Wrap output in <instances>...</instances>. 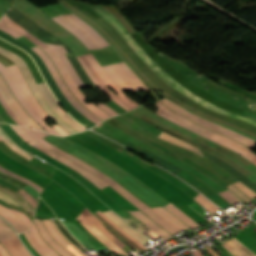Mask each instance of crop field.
Listing matches in <instances>:
<instances>
[{
    "label": "crop field",
    "instance_id": "1",
    "mask_svg": "<svg viewBox=\"0 0 256 256\" xmlns=\"http://www.w3.org/2000/svg\"><path fill=\"white\" fill-rule=\"evenodd\" d=\"M22 128V127H20ZM27 134H29L32 138H34L36 141L40 142L41 144L45 145L46 147L54 150L55 152L63 155L64 157L68 158L69 160L77 163L78 165L84 167L85 169L89 170L96 176H98L100 179H102L104 182H106L108 185H110L113 189H115L119 194H121L125 199H127L130 203H132L134 206L141 209L144 213H146L153 221H155L158 225H160L162 228H164L166 231L171 233L172 235L180 232L177 229H175L172 225H170L166 220H164L162 217H160L158 214H156L154 211H152L150 208H148L145 204H143L140 200L136 199L132 194H130L126 189H124L122 186H120L118 183L110 179L108 176L104 175L100 171L96 170L95 168L91 167L87 163L83 162L82 160L58 149L57 147L51 145L50 143L42 140L34 131L22 128Z\"/></svg>",
    "mask_w": 256,
    "mask_h": 256
},
{
    "label": "crop field",
    "instance_id": "2",
    "mask_svg": "<svg viewBox=\"0 0 256 256\" xmlns=\"http://www.w3.org/2000/svg\"><path fill=\"white\" fill-rule=\"evenodd\" d=\"M158 107L157 113L158 115L162 116L163 118L182 126L192 132H195L205 138H208L230 150L235 151L236 153L244 156L246 159L251 161L253 164L256 165V156L251 152L250 149L245 147L244 145L233 141L229 138H226L216 132L208 131L197 124L187 120L185 117L167 109L163 104L160 102L155 104Z\"/></svg>",
    "mask_w": 256,
    "mask_h": 256
},
{
    "label": "crop field",
    "instance_id": "3",
    "mask_svg": "<svg viewBox=\"0 0 256 256\" xmlns=\"http://www.w3.org/2000/svg\"><path fill=\"white\" fill-rule=\"evenodd\" d=\"M93 57L90 53H88L77 56V59L89 74L97 88L128 111L140 106L112 82L109 76ZM107 86L112 88L118 95L112 92Z\"/></svg>",
    "mask_w": 256,
    "mask_h": 256
},
{
    "label": "crop field",
    "instance_id": "4",
    "mask_svg": "<svg viewBox=\"0 0 256 256\" xmlns=\"http://www.w3.org/2000/svg\"><path fill=\"white\" fill-rule=\"evenodd\" d=\"M0 53L7 56L9 59H11L13 62H15L20 67V69L22 70V72L32 90L33 95L35 96V98L37 99V101L39 102L41 107H43V109L49 114V116H51L56 123H58L60 126L65 128L71 134L74 132H78L76 129H74L69 124H67L62 119H60L56 115L54 110L49 106V104H47L46 100L41 95V93L37 87V84L33 79L31 71H30L28 65L25 63V61L23 59H21L20 57H18L16 54H14L8 50H5L1 47H0Z\"/></svg>",
    "mask_w": 256,
    "mask_h": 256
},
{
    "label": "crop field",
    "instance_id": "5",
    "mask_svg": "<svg viewBox=\"0 0 256 256\" xmlns=\"http://www.w3.org/2000/svg\"><path fill=\"white\" fill-rule=\"evenodd\" d=\"M110 78L122 90L148 89L142 81L137 78L122 59L101 64Z\"/></svg>",
    "mask_w": 256,
    "mask_h": 256
},
{
    "label": "crop field",
    "instance_id": "6",
    "mask_svg": "<svg viewBox=\"0 0 256 256\" xmlns=\"http://www.w3.org/2000/svg\"><path fill=\"white\" fill-rule=\"evenodd\" d=\"M45 62L48 69L50 70L54 80L56 81L59 89L64 94V96L68 99V101L78 110L80 111L84 116H86L89 120L93 121L94 123H99L100 120L98 117H96L93 113H91L88 109H86L84 106H82L76 98L68 91L66 85L64 84L61 76L59 75L56 68L53 66L47 55L38 47L32 48Z\"/></svg>",
    "mask_w": 256,
    "mask_h": 256
},
{
    "label": "crop field",
    "instance_id": "7",
    "mask_svg": "<svg viewBox=\"0 0 256 256\" xmlns=\"http://www.w3.org/2000/svg\"><path fill=\"white\" fill-rule=\"evenodd\" d=\"M10 126L27 143L30 144V143L34 142L18 126H13V125H10ZM31 145L36 147L38 150H40V151H42V152H44V153L54 157L56 160H59V161L65 163L66 165L70 166L71 168H73L74 170H76L77 172H79L80 174L85 176L87 179H89L93 184H95L100 189L105 188V187L108 186L102 180H100L98 177H96L95 175H93L89 171H87V170L83 169L82 167L74 164L73 162L69 161L68 159L64 158L63 156H61V155H59V154L49 150L48 148L44 147L43 145L38 144L36 141L34 143H32Z\"/></svg>",
    "mask_w": 256,
    "mask_h": 256
},
{
    "label": "crop field",
    "instance_id": "8",
    "mask_svg": "<svg viewBox=\"0 0 256 256\" xmlns=\"http://www.w3.org/2000/svg\"><path fill=\"white\" fill-rule=\"evenodd\" d=\"M44 51L46 52L47 55L50 56L51 60L53 61V63L55 64V66L57 67V69L59 70V72L61 73L62 77L64 78V80L66 81L69 89L73 92V94L91 111L93 112L95 115L101 117L103 120L110 117L109 115H107L105 112H103L101 109H99L97 106H95L93 103L92 104H86L83 101L87 98L82 92L81 90L75 85V83L73 82L70 74L68 73V71L66 70V68L64 67V65L61 63V61L58 59L57 55L48 47L46 49H44Z\"/></svg>",
    "mask_w": 256,
    "mask_h": 256
},
{
    "label": "crop field",
    "instance_id": "9",
    "mask_svg": "<svg viewBox=\"0 0 256 256\" xmlns=\"http://www.w3.org/2000/svg\"><path fill=\"white\" fill-rule=\"evenodd\" d=\"M165 99H166V98H165ZM165 99L161 100L165 105L171 107V108L174 109L175 111H177V112H179V113H181V114L187 116V117L190 118L191 120H193V121H195V122H197V123H199V124H201V125H203V126L209 128V129H212V130H214V131H217V132H220V133H222V134H225V135H227V136H229V137H231V138H234V139H236V140L242 142L243 144H245L246 146H248V147H250V148L253 147V146L256 144V142L253 141V140H251V139H248V138H246V137H244V136H241V135H239V134H236V133H234V132H232V131H229V130H227V129H225V128H222V127H220V126H218V125H215V124H213V123H210L211 121L208 122V121H206V120H203L204 118L201 119V118H199V117H197V116L191 114L190 112L184 110L183 108H181V107H179V106H177V105H175V104H173V103H171V102H169V101H167V100H165Z\"/></svg>",
    "mask_w": 256,
    "mask_h": 256
},
{
    "label": "crop field",
    "instance_id": "10",
    "mask_svg": "<svg viewBox=\"0 0 256 256\" xmlns=\"http://www.w3.org/2000/svg\"><path fill=\"white\" fill-rule=\"evenodd\" d=\"M0 229L6 233L10 230H12L8 224H6L4 222L3 219L0 218ZM0 230V241L1 243L3 244V246L7 249V251L10 253L11 256H32L29 251L21 244V242L18 240L15 232L12 230L8 233H6V235L9 237V239L13 242V244L16 246V248L19 250V253L18 250L15 248V246L12 244V242L8 239V237Z\"/></svg>",
    "mask_w": 256,
    "mask_h": 256
},
{
    "label": "crop field",
    "instance_id": "11",
    "mask_svg": "<svg viewBox=\"0 0 256 256\" xmlns=\"http://www.w3.org/2000/svg\"><path fill=\"white\" fill-rule=\"evenodd\" d=\"M39 86V89L41 90L43 96L48 101L50 106L56 111V113L61 117L63 120H65L67 123H69L71 126L76 128L79 131L86 130L87 128L79 125L76 123L72 117H70L67 112L60 106L56 98L53 96V94L50 92L49 88L47 87L46 83H37Z\"/></svg>",
    "mask_w": 256,
    "mask_h": 256
},
{
    "label": "crop field",
    "instance_id": "12",
    "mask_svg": "<svg viewBox=\"0 0 256 256\" xmlns=\"http://www.w3.org/2000/svg\"><path fill=\"white\" fill-rule=\"evenodd\" d=\"M10 70L11 74L17 81L22 93L24 94L25 98L29 101V103L34 107V109L38 112V114L42 117L43 120L49 118L47 114L42 110L40 105L37 103L36 99L30 92L21 72L19 71L18 67L14 65L7 66Z\"/></svg>",
    "mask_w": 256,
    "mask_h": 256
},
{
    "label": "crop field",
    "instance_id": "13",
    "mask_svg": "<svg viewBox=\"0 0 256 256\" xmlns=\"http://www.w3.org/2000/svg\"><path fill=\"white\" fill-rule=\"evenodd\" d=\"M102 222H104L110 229L117 233L121 238H123L128 244L139 250L140 252L146 250L147 248L140 244L137 240L131 237L128 233L122 230L119 226L108 219L102 212L98 211L94 213Z\"/></svg>",
    "mask_w": 256,
    "mask_h": 256
},
{
    "label": "crop field",
    "instance_id": "14",
    "mask_svg": "<svg viewBox=\"0 0 256 256\" xmlns=\"http://www.w3.org/2000/svg\"><path fill=\"white\" fill-rule=\"evenodd\" d=\"M0 89L3 92V94L6 96V98H12L14 97L10 89L8 88L7 84L3 80V78L0 75ZM13 108L16 110L17 114L24 120V122L28 125H30L31 128L37 129V130H43L40 128L36 123H34L29 116L26 114V112L21 108V106L17 103L16 99H9L8 100ZM44 131V130H43Z\"/></svg>",
    "mask_w": 256,
    "mask_h": 256
},
{
    "label": "crop field",
    "instance_id": "15",
    "mask_svg": "<svg viewBox=\"0 0 256 256\" xmlns=\"http://www.w3.org/2000/svg\"><path fill=\"white\" fill-rule=\"evenodd\" d=\"M76 219L80 221L98 240H100L110 250L129 256L126 252H124L107 237H105L98 229H96L82 214H80Z\"/></svg>",
    "mask_w": 256,
    "mask_h": 256
},
{
    "label": "crop field",
    "instance_id": "16",
    "mask_svg": "<svg viewBox=\"0 0 256 256\" xmlns=\"http://www.w3.org/2000/svg\"><path fill=\"white\" fill-rule=\"evenodd\" d=\"M68 30H70L79 40H81L88 48L91 49H101L87 34H85L81 29L72 24L63 16L54 18Z\"/></svg>",
    "mask_w": 256,
    "mask_h": 256
},
{
    "label": "crop field",
    "instance_id": "17",
    "mask_svg": "<svg viewBox=\"0 0 256 256\" xmlns=\"http://www.w3.org/2000/svg\"><path fill=\"white\" fill-rule=\"evenodd\" d=\"M65 17L68 18L72 23L77 25L79 28H81L85 33H87L93 40H95L100 45L101 48L110 45L106 39L101 37L92 27H90L88 24H86L74 14L65 15Z\"/></svg>",
    "mask_w": 256,
    "mask_h": 256
},
{
    "label": "crop field",
    "instance_id": "18",
    "mask_svg": "<svg viewBox=\"0 0 256 256\" xmlns=\"http://www.w3.org/2000/svg\"><path fill=\"white\" fill-rule=\"evenodd\" d=\"M103 213L108 218H110L112 221H114L117 225H119L121 228H123L126 232H128L130 235H132L135 239H137L143 245L149 243L147 241L148 238H146L144 235H142L140 232H138L136 229H134L132 226H130L127 222H125L122 218H120L118 215H116L111 210L103 212Z\"/></svg>",
    "mask_w": 256,
    "mask_h": 256
},
{
    "label": "crop field",
    "instance_id": "19",
    "mask_svg": "<svg viewBox=\"0 0 256 256\" xmlns=\"http://www.w3.org/2000/svg\"><path fill=\"white\" fill-rule=\"evenodd\" d=\"M53 51L58 55L59 59L62 61V63L65 65V67L67 68V70L69 71V73L71 74L72 78L74 79V81L76 82V84L78 85V87L84 85L83 82L80 80V78L78 77V75L75 73V69L73 70L70 62L68 61L66 55L64 53H66V50L63 48V46H58V45H49Z\"/></svg>",
    "mask_w": 256,
    "mask_h": 256
},
{
    "label": "crop field",
    "instance_id": "20",
    "mask_svg": "<svg viewBox=\"0 0 256 256\" xmlns=\"http://www.w3.org/2000/svg\"><path fill=\"white\" fill-rule=\"evenodd\" d=\"M0 214L12 223V225L15 227L18 233L27 230L21 218L14 210L8 209L0 205Z\"/></svg>",
    "mask_w": 256,
    "mask_h": 256
},
{
    "label": "crop field",
    "instance_id": "21",
    "mask_svg": "<svg viewBox=\"0 0 256 256\" xmlns=\"http://www.w3.org/2000/svg\"><path fill=\"white\" fill-rule=\"evenodd\" d=\"M40 234L42 235V237L44 238V240L50 244L53 249L55 251H57L60 255L62 256H72L69 252H67L63 247H61L59 244H57L52 237L50 236V234L48 233L46 227L42 224V222L38 219L34 220Z\"/></svg>",
    "mask_w": 256,
    "mask_h": 256
},
{
    "label": "crop field",
    "instance_id": "22",
    "mask_svg": "<svg viewBox=\"0 0 256 256\" xmlns=\"http://www.w3.org/2000/svg\"><path fill=\"white\" fill-rule=\"evenodd\" d=\"M128 212H130L132 215H134L136 218H138L140 221L146 224L149 228H151L154 232H156L166 241L169 238L173 237L169 233H167L165 230H163L160 226H158L156 223H154L151 219H149L147 216L141 213L140 211H128Z\"/></svg>",
    "mask_w": 256,
    "mask_h": 256
},
{
    "label": "crop field",
    "instance_id": "23",
    "mask_svg": "<svg viewBox=\"0 0 256 256\" xmlns=\"http://www.w3.org/2000/svg\"><path fill=\"white\" fill-rule=\"evenodd\" d=\"M45 226L47 227L49 233L55 238V240L60 243L64 248H66L69 252H71L75 256H83L78 251H76L74 248H72L66 240L56 231V229L51 224L50 220H43Z\"/></svg>",
    "mask_w": 256,
    "mask_h": 256
},
{
    "label": "crop field",
    "instance_id": "24",
    "mask_svg": "<svg viewBox=\"0 0 256 256\" xmlns=\"http://www.w3.org/2000/svg\"><path fill=\"white\" fill-rule=\"evenodd\" d=\"M101 14L122 36L128 35L124 27L102 6L89 5Z\"/></svg>",
    "mask_w": 256,
    "mask_h": 256
},
{
    "label": "crop field",
    "instance_id": "25",
    "mask_svg": "<svg viewBox=\"0 0 256 256\" xmlns=\"http://www.w3.org/2000/svg\"><path fill=\"white\" fill-rule=\"evenodd\" d=\"M31 237L35 244L47 255V256H59L56 252H54L39 236V233L34 225L32 224L31 229L29 230Z\"/></svg>",
    "mask_w": 256,
    "mask_h": 256
},
{
    "label": "crop field",
    "instance_id": "26",
    "mask_svg": "<svg viewBox=\"0 0 256 256\" xmlns=\"http://www.w3.org/2000/svg\"><path fill=\"white\" fill-rule=\"evenodd\" d=\"M0 127L13 139L14 142L19 144L24 149L34 153L35 155H40L42 152L38 151L37 149L29 146L28 144L24 143L21 138L10 128L8 124L0 123Z\"/></svg>",
    "mask_w": 256,
    "mask_h": 256
},
{
    "label": "crop field",
    "instance_id": "27",
    "mask_svg": "<svg viewBox=\"0 0 256 256\" xmlns=\"http://www.w3.org/2000/svg\"><path fill=\"white\" fill-rule=\"evenodd\" d=\"M229 241L236 246L235 248L229 250V252L234 256H256V254L250 251L246 246H244L237 239L233 238Z\"/></svg>",
    "mask_w": 256,
    "mask_h": 256
},
{
    "label": "crop field",
    "instance_id": "28",
    "mask_svg": "<svg viewBox=\"0 0 256 256\" xmlns=\"http://www.w3.org/2000/svg\"><path fill=\"white\" fill-rule=\"evenodd\" d=\"M157 213H159L162 217H164L166 220H168L170 223H172L174 226H176L178 229H186L188 228L184 223H182L180 220H178L176 217H174L172 214H170L168 211H166L163 207L160 208H154Z\"/></svg>",
    "mask_w": 256,
    "mask_h": 256
},
{
    "label": "crop field",
    "instance_id": "29",
    "mask_svg": "<svg viewBox=\"0 0 256 256\" xmlns=\"http://www.w3.org/2000/svg\"><path fill=\"white\" fill-rule=\"evenodd\" d=\"M0 189H2L3 191H5L7 194H9L13 199H15L19 204H21L25 210L30 214V216L33 218L34 215V208L31 207L20 195L16 194L15 192H13L12 190L1 186L0 185Z\"/></svg>",
    "mask_w": 256,
    "mask_h": 256
},
{
    "label": "crop field",
    "instance_id": "30",
    "mask_svg": "<svg viewBox=\"0 0 256 256\" xmlns=\"http://www.w3.org/2000/svg\"><path fill=\"white\" fill-rule=\"evenodd\" d=\"M164 207H166L168 210H170L173 214H175L178 218H180L183 222H185L192 229L199 226V224H197L195 221H193L191 218H189L187 215H185L183 212H181L179 209H177L171 203Z\"/></svg>",
    "mask_w": 256,
    "mask_h": 256
},
{
    "label": "crop field",
    "instance_id": "31",
    "mask_svg": "<svg viewBox=\"0 0 256 256\" xmlns=\"http://www.w3.org/2000/svg\"><path fill=\"white\" fill-rule=\"evenodd\" d=\"M0 138L6 143V145L11 148L13 151L17 152L18 154L28 158L29 160L32 159L34 156L28 154L21 148L17 147L15 143L11 141V139L1 130L0 128Z\"/></svg>",
    "mask_w": 256,
    "mask_h": 256
},
{
    "label": "crop field",
    "instance_id": "32",
    "mask_svg": "<svg viewBox=\"0 0 256 256\" xmlns=\"http://www.w3.org/2000/svg\"><path fill=\"white\" fill-rule=\"evenodd\" d=\"M159 138H161V139H163V140H166V141H168V142H170V143H173V144L182 146V147H184V148H186V149H188V150H190V151H192V152H195V153H197V154L203 156V155L201 154V152L199 151V149H197V148H195V147H193V146H190V145H188V144H186V143H184V142H182V141H180V140H177V139H175V138H173V137H171V136H169V135H167V134H165V133H163V132L160 134Z\"/></svg>",
    "mask_w": 256,
    "mask_h": 256
},
{
    "label": "crop field",
    "instance_id": "33",
    "mask_svg": "<svg viewBox=\"0 0 256 256\" xmlns=\"http://www.w3.org/2000/svg\"><path fill=\"white\" fill-rule=\"evenodd\" d=\"M0 183L14 189L17 193L21 194L34 208H36L37 201L34 198H32L28 193H26L24 190L2 179H0Z\"/></svg>",
    "mask_w": 256,
    "mask_h": 256
},
{
    "label": "crop field",
    "instance_id": "34",
    "mask_svg": "<svg viewBox=\"0 0 256 256\" xmlns=\"http://www.w3.org/2000/svg\"><path fill=\"white\" fill-rule=\"evenodd\" d=\"M0 102L2 103V105L4 106L5 110L8 112V114L11 116V118L18 124L21 126H25L27 127L17 116V114L13 111V109L10 107V105L8 104L6 98L4 97V95L1 93L0 91Z\"/></svg>",
    "mask_w": 256,
    "mask_h": 256
},
{
    "label": "crop field",
    "instance_id": "35",
    "mask_svg": "<svg viewBox=\"0 0 256 256\" xmlns=\"http://www.w3.org/2000/svg\"><path fill=\"white\" fill-rule=\"evenodd\" d=\"M96 228H98L105 236H107L113 242L117 239L112 233H110L104 225L97 220L94 216L86 217Z\"/></svg>",
    "mask_w": 256,
    "mask_h": 256
},
{
    "label": "crop field",
    "instance_id": "36",
    "mask_svg": "<svg viewBox=\"0 0 256 256\" xmlns=\"http://www.w3.org/2000/svg\"><path fill=\"white\" fill-rule=\"evenodd\" d=\"M194 200L197 201L200 205H202L204 208H206L212 213L216 210H219L216 206H214L212 203H210L207 199H205L200 194L195 196Z\"/></svg>",
    "mask_w": 256,
    "mask_h": 256
},
{
    "label": "crop field",
    "instance_id": "37",
    "mask_svg": "<svg viewBox=\"0 0 256 256\" xmlns=\"http://www.w3.org/2000/svg\"><path fill=\"white\" fill-rule=\"evenodd\" d=\"M0 171H2V172H4V173H7V174H9V175H11V176H13V177H15V178L21 180V181H24V182L30 184L31 186H33V187H34L37 191H39V192H41V191L43 190V189H41L39 186H37L36 184H34V183H32V182H30V181H28V180H26V179H24V178H22V177H20V176H18V175H16V174H14V173H12V172H10V171L4 169V168L1 167V166H0Z\"/></svg>",
    "mask_w": 256,
    "mask_h": 256
},
{
    "label": "crop field",
    "instance_id": "38",
    "mask_svg": "<svg viewBox=\"0 0 256 256\" xmlns=\"http://www.w3.org/2000/svg\"><path fill=\"white\" fill-rule=\"evenodd\" d=\"M234 185L237 186L242 192H244L251 199L256 196L254 192H252L249 188L244 186L242 183L237 182V183H234Z\"/></svg>",
    "mask_w": 256,
    "mask_h": 256
},
{
    "label": "crop field",
    "instance_id": "39",
    "mask_svg": "<svg viewBox=\"0 0 256 256\" xmlns=\"http://www.w3.org/2000/svg\"><path fill=\"white\" fill-rule=\"evenodd\" d=\"M0 29L11 34L12 36H14L15 38L21 36L19 33H17L16 31H14L13 29H11L10 27H8L2 20L0 21Z\"/></svg>",
    "mask_w": 256,
    "mask_h": 256
},
{
    "label": "crop field",
    "instance_id": "40",
    "mask_svg": "<svg viewBox=\"0 0 256 256\" xmlns=\"http://www.w3.org/2000/svg\"><path fill=\"white\" fill-rule=\"evenodd\" d=\"M4 22H6L8 25H10L11 27H13L14 29H16L17 31H19L20 33L24 34L25 31L24 29H22L21 27H19L17 24H15L11 19H9L6 15H4V17L2 18Z\"/></svg>",
    "mask_w": 256,
    "mask_h": 256
},
{
    "label": "crop field",
    "instance_id": "41",
    "mask_svg": "<svg viewBox=\"0 0 256 256\" xmlns=\"http://www.w3.org/2000/svg\"><path fill=\"white\" fill-rule=\"evenodd\" d=\"M227 188L232 190L234 193H236L238 196H240L246 203L251 201L248 197H246L240 190L235 188L232 184L229 185Z\"/></svg>",
    "mask_w": 256,
    "mask_h": 256
},
{
    "label": "crop field",
    "instance_id": "42",
    "mask_svg": "<svg viewBox=\"0 0 256 256\" xmlns=\"http://www.w3.org/2000/svg\"><path fill=\"white\" fill-rule=\"evenodd\" d=\"M24 235H25V237L27 238V240L29 241V243L33 246V248L38 252V254H39L40 256H46V255H45L41 250H39V249L37 248V246L33 243V241L31 240V237H30L28 231L25 232Z\"/></svg>",
    "mask_w": 256,
    "mask_h": 256
},
{
    "label": "crop field",
    "instance_id": "43",
    "mask_svg": "<svg viewBox=\"0 0 256 256\" xmlns=\"http://www.w3.org/2000/svg\"><path fill=\"white\" fill-rule=\"evenodd\" d=\"M222 197H224L227 201H229L231 204L238 201L236 198H234L230 193L226 192H222L219 193Z\"/></svg>",
    "mask_w": 256,
    "mask_h": 256
},
{
    "label": "crop field",
    "instance_id": "44",
    "mask_svg": "<svg viewBox=\"0 0 256 256\" xmlns=\"http://www.w3.org/2000/svg\"><path fill=\"white\" fill-rule=\"evenodd\" d=\"M0 199L5 201L6 203L17 205L8 195L0 191Z\"/></svg>",
    "mask_w": 256,
    "mask_h": 256
},
{
    "label": "crop field",
    "instance_id": "45",
    "mask_svg": "<svg viewBox=\"0 0 256 256\" xmlns=\"http://www.w3.org/2000/svg\"><path fill=\"white\" fill-rule=\"evenodd\" d=\"M100 108H102L104 111H106L108 114L114 116L117 115V113H115L113 110H111L109 107H107L105 104L103 103H98L97 104Z\"/></svg>",
    "mask_w": 256,
    "mask_h": 256
},
{
    "label": "crop field",
    "instance_id": "46",
    "mask_svg": "<svg viewBox=\"0 0 256 256\" xmlns=\"http://www.w3.org/2000/svg\"><path fill=\"white\" fill-rule=\"evenodd\" d=\"M16 211V210H15ZM20 216L21 218L23 219L25 225L27 226V228L29 227L31 221L29 220V218L27 216H25L23 213L19 212V211H16ZM29 229V228H28Z\"/></svg>",
    "mask_w": 256,
    "mask_h": 256
},
{
    "label": "crop field",
    "instance_id": "47",
    "mask_svg": "<svg viewBox=\"0 0 256 256\" xmlns=\"http://www.w3.org/2000/svg\"><path fill=\"white\" fill-rule=\"evenodd\" d=\"M53 127L54 130H56L58 133H60L61 135H69L65 130H63L61 127H59L58 125H51Z\"/></svg>",
    "mask_w": 256,
    "mask_h": 256
},
{
    "label": "crop field",
    "instance_id": "48",
    "mask_svg": "<svg viewBox=\"0 0 256 256\" xmlns=\"http://www.w3.org/2000/svg\"><path fill=\"white\" fill-rule=\"evenodd\" d=\"M0 256H10L6 249L0 243Z\"/></svg>",
    "mask_w": 256,
    "mask_h": 256
},
{
    "label": "crop field",
    "instance_id": "49",
    "mask_svg": "<svg viewBox=\"0 0 256 256\" xmlns=\"http://www.w3.org/2000/svg\"><path fill=\"white\" fill-rule=\"evenodd\" d=\"M227 250L234 247V245H232L229 241L225 242L224 244H222Z\"/></svg>",
    "mask_w": 256,
    "mask_h": 256
},
{
    "label": "crop field",
    "instance_id": "50",
    "mask_svg": "<svg viewBox=\"0 0 256 256\" xmlns=\"http://www.w3.org/2000/svg\"><path fill=\"white\" fill-rule=\"evenodd\" d=\"M53 222V220H51ZM54 226L57 228V226L55 225V223L53 222ZM58 230V228H57ZM59 231V230H58ZM60 232V231H59ZM62 235V234H61ZM63 236V235H62ZM64 237V236H63ZM65 238V237H64ZM66 239V238H65ZM67 240V239H66ZM68 242H70L69 240H67ZM71 243V242H70ZM72 244V243H71ZM74 247H76L74 244H72ZM77 248V247H76ZM79 251H81L79 248H77ZM82 252V251H81ZM83 253V252H82ZM84 254V253H83ZM85 255V254H84ZM87 256V255H85Z\"/></svg>",
    "mask_w": 256,
    "mask_h": 256
},
{
    "label": "crop field",
    "instance_id": "51",
    "mask_svg": "<svg viewBox=\"0 0 256 256\" xmlns=\"http://www.w3.org/2000/svg\"><path fill=\"white\" fill-rule=\"evenodd\" d=\"M115 243L118 244L121 248H123L126 245L118 239L115 241Z\"/></svg>",
    "mask_w": 256,
    "mask_h": 256
},
{
    "label": "crop field",
    "instance_id": "52",
    "mask_svg": "<svg viewBox=\"0 0 256 256\" xmlns=\"http://www.w3.org/2000/svg\"><path fill=\"white\" fill-rule=\"evenodd\" d=\"M193 254L194 256H203L200 250H196L195 252H193Z\"/></svg>",
    "mask_w": 256,
    "mask_h": 256
},
{
    "label": "crop field",
    "instance_id": "53",
    "mask_svg": "<svg viewBox=\"0 0 256 256\" xmlns=\"http://www.w3.org/2000/svg\"><path fill=\"white\" fill-rule=\"evenodd\" d=\"M84 216L92 215L87 209L82 212Z\"/></svg>",
    "mask_w": 256,
    "mask_h": 256
},
{
    "label": "crop field",
    "instance_id": "54",
    "mask_svg": "<svg viewBox=\"0 0 256 256\" xmlns=\"http://www.w3.org/2000/svg\"><path fill=\"white\" fill-rule=\"evenodd\" d=\"M233 196H235L237 199H239L233 192H231L230 190H228ZM242 203L244 202V201H242L241 199H239Z\"/></svg>",
    "mask_w": 256,
    "mask_h": 256
},
{
    "label": "crop field",
    "instance_id": "55",
    "mask_svg": "<svg viewBox=\"0 0 256 256\" xmlns=\"http://www.w3.org/2000/svg\"><path fill=\"white\" fill-rule=\"evenodd\" d=\"M226 253V252H225ZM227 255H229L228 253H226ZM230 256V255H229Z\"/></svg>",
    "mask_w": 256,
    "mask_h": 256
}]
</instances>
